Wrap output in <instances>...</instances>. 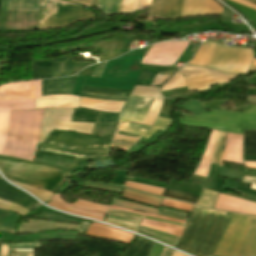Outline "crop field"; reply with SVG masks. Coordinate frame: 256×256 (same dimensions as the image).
<instances>
[{
	"label": "crop field",
	"instance_id": "8a807250",
	"mask_svg": "<svg viewBox=\"0 0 256 256\" xmlns=\"http://www.w3.org/2000/svg\"><path fill=\"white\" fill-rule=\"evenodd\" d=\"M231 215L195 206L176 248L195 256H212Z\"/></svg>",
	"mask_w": 256,
	"mask_h": 256
},
{
	"label": "crop field",
	"instance_id": "ac0d7876",
	"mask_svg": "<svg viewBox=\"0 0 256 256\" xmlns=\"http://www.w3.org/2000/svg\"><path fill=\"white\" fill-rule=\"evenodd\" d=\"M0 171L9 180L53 192L71 176L57 168L2 156Z\"/></svg>",
	"mask_w": 256,
	"mask_h": 256
},
{
	"label": "crop field",
	"instance_id": "34b2d1b8",
	"mask_svg": "<svg viewBox=\"0 0 256 256\" xmlns=\"http://www.w3.org/2000/svg\"><path fill=\"white\" fill-rule=\"evenodd\" d=\"M44 110L12 111L5 155L31 160Z\"/></svg>",
	"mask_w": 256,
	"mask_h": 256
},
{
	"label": "crop field",
	"instance_id": "412701ff",
	"mask_svg": "<svg viewBox=\"0 0 256 256\" xmlns=\"http://www.w3.org/2000/svg\"><path fill=\"white\" fill-rule=\"evenodd\" d=\"M110 141L94 139L88 136L52 131L40 149L77 156L68 172H72L86 158L105 155Z\"/></svg>",
	"mask_w": 256,
	"mask_h": 256
},
{
	"label": "crop field",
	"instance_id": "f4fd0767",
	"mask_svg": "<svg viewBox=\"0 0 256 256\" xmlns=\"http://www.w3.org/2000/svg\"><path fill=\"white\" fill-rule=\"evenodd\" d=\"M208 43H211L210 47H206ZM252 57L253 51L247 48H226L215 42H206L189 65L228 73H247Z\"/></svg>",
	"mask_w": 256,
	"mask_h": 256
},
{
	"label": "crop field",
	"instance_id": "dd49c442",
	"mask_svg": "<svg viewBox=\"0 0 256 256\" xmlns=\"http://www.w3.org/2000/svg\"><path fill=\"white\" fill-rule=\"evenodd\" d=\"M41 96V81L0 86V154L4 155L11 109H35L34 100Z\"/></svg>",
	"mask_w": 256,
	"mask_h": 256
},
{
	"label": "crop field",
	"instance_id": "e52e79f7",
	"mask_svg": "<svg viewBox=\"0 0 256 256\" xmlns=\"http://www.w3.org/2000/svg\"><path fill=\"white\" fill-rule=\"evenodd\" d=\"M184 118L185 121L179 120L180 124L215 129L234 134L242 135L241 129L229 126L256 130V106L248 105L243 113L211 110V113H204V115L196 117L184 116Z\"/></svg>",
	"mask_w": 256,
	"mask_h": 256
},
{
	"label": "crop field",
	"instance_id": "d8731c3e",
	"mask_svg": "<svg viewBox=\"0 0 256 256\" xmlns=\"http://www.w3.org/2000/svg\"><path fill=\"white\" fill-rule=\"evenodd\" d=\"M56 1H60L66 4H70L73 5L71 3H67L61 0H56ZM56 1H47V0H41L40 2V10H39V17H38V26H39V30H47L49 28H56V29H60L63 28L65 26L71 25L75 23V5L72 6V8L68 7L70 5H66L60 2H56ZM43 2H49V8H48V13L49 12H53L56 11L58 9H55L56 3H60L63 4V7H68L70 9H66L60 12H56L53 14H49L48 18H46V11H47V6H43ZM44 5H48V3H44ZM62 5L57 4L56 8L61 9ZM80 5L76 4V23L80 20H84L87 18H94L93 14L80 9Z\"/></svg>",
	"mask_w": 256,
	"mask_h": 256
},
{
	"label": "crop field",
	"instance_id": "5a996713",
	"mask_svg": "<svg viewBox=\"0 0 256 256\" xmlns=\"http://www.w3.org/2000/svg\"><path fill=\"white\" fill-rule=\"evenodd\" d=\"M79 97L66 95H48L35 100L36 109L41 108H77ZM124 102L100 101L80 97L79 106L97 111L119 113Z\"/></svg>",
	"mask_w": 256,
	"mask_h": 256
},
{
	"label": "crop field",
	"instance_id": "3316defc",
	"mask_svg": "<svg viewBox=\"0 0 256 256\" xmlns=\"http://www.w3.org/2000/svg\"><path fill=\"white\" fill-rule=\"evenodd\" d=\"M72 110H45L39 143H42L49 135L51 129L68 130L90 135L94 124L71 122Z\"/></svg>",
	"mask_w": 256,
	"mask_h": 256
},
{
	"label": "crop field",
	"instance_id": "28ad6ade",
	"mask_svg": "<svg viewBox=\"0 0 256 256\" xmlns=\"http://www.w3.org/2000/svg\"><path fill=\"white\" fill-rule=\"evenodd\" d=\"M179 73L186 76L185 81L189 91H202L210 88L209 84L229 83L238 75L223 74L210 69L185 66Z\"/></svg>",
	"mask_w": 256,
	"mask_h": 256
},
{
	"label": "crop field",
	"instance_id": "d1516ede",
	"mask_svg": "<svg viewBox=\"0 0 256 256\" xmlns=\"http://www.w3.org/2000/svg\"><path fill=\"white\" fill-rule=\"evenodd\" d=\"M250 217L233 214L213 256H236Z\"/></svg>",
	"mask_w": 256,
	"mask_h": 256
},
{
	"label": "crop field",
	"instance_id": "22f410ed",
	"mask_svg": "<svg viewBox=\"0 0 256 256\" xmlns=\"http://www.w3.org/2000/svg\"><path fill=\"white\" fill-rule=\"evenodd\" d=\"M189 42H162L153 45L141 63L168 66L174 65Z\"/></svg>",
	"mask_w": 256,
	"mask_h": 256
},
{
	"label": "crop field",
	"instance_id": "cbeb9de0",
	"mask_svg": "<svg viewBox=\"0 0 256 256\" xmlns=\"http://www.w3.org/2000/svg\"><path fill=\"white\" fill-rule=\"evenodd\" d=\"M229 13V11L213 0H185L181 18L195 15L219 14L223 20L228 21Z\"/></svg>",
	"mask_w": 256,
	"mask_h": 256
},
{
	"label": "crop field",
	"instance_id": "5142ce71",
	"mask_svg": "<svg viewBox=\"0 0 256 256\" xmlns=\"http://www.w3.org/2000/svg\"><path fill=\"white\" fill-rule=\"evenodd\" d=\"M153 99L144 98V97H136L129 96L125 106L123 107L119 121H134L138 123H142Z\"/></svg>",
	"mask_w": 256,
	"mask_h": 256
},
{
	"label": "crop field",
	"instance_id": "d9b57169",
	"mask_svg": "<svg viewBox=\"0 0 256 256\" xmlns=\"http://www.w3.org/2000/svg\"><path fill=\"white\" fill-rule=\"evenodd\" d=\"M183 0H152L149 17L180 18Z\"/></svg>",
	"mask_w": 256,
	"mask_h": 256
},
{
	"label": "crop field",
	"instance_id": "733c2abd",
	"mask_svg": "<svg viewBox=\"0 0 256 256\" xmlns=\"http://www.w3.org/2000/svg\"><path fill=\"white\" fill-rule=\"evenodd\" d=\"M131 95L154 98L150 110L143 122L144 125L151 126L159 112V108L162 103V97L159 93V88L135 86Z\"/></svg>",
	"mask_w": 256,
	"mask_h": 256
},
{
	"label": "crop field",
	"instance_id": "4a817a6b",
	"mask_svg": "<svg viewBox=\"0 0 256 256\" xmlns=\"http://www.w3.org/2000/svg\"><path fill=\"white\" fill-rule=\"evenodd\" d=\"M85 235L114 240L126 244H128L134 236L97 223H91Z\"/></svg>",
	"mask_w": 256,
	"mask_h": 256
},
{
	"label": "crop field",
	"instance_id": "bc2a9ffb",
	"mask_svg": "<svg viewBox=\"0 0 256 256\" xmlns=\"http://www.w3.org/2000/svg\"><path fill=\"white\" fill-rule=\"evenodd\" d=\"M171 123H172V120L170 119L158 117L152 128L133 124V123H120L118 126V130L147 138L153 135L158 129H162V130L167 129Z\"/></svg>",
	"mask_w": 256,
	"mask_h": 256
},
{
	"label": "crop field",
	"instance_id": "214f88e0",
	"mask_svg": "<svg viewBox=\"0 0 256 256\" xmlns=\"http://www.w3.org/2000/svg\"><path fill=\"white\" fill-rule=\"evenodd\" d=\"M77 77L42 80V96L47 94L71 95Z\"/></svg>",
	"mask_w": 256,
	"mask_h": 256
},
{
	"label": "crop field",
	"instance_id": "92a150f3",
	"mask_svg": "<svg viewBox=\"0 0 256 256\" xmlns=\"http://www.w3.org/2000/svg\"><path fill=\"white\" fill-rule=\"evenodd\" d=\"M237 256H256V217L252 216Z\"/></svg>",
	"mask_w": 256,
	"mask_h": 256
},
{
	"label": "crop field",
	"instance_id": "dafd665d",
	"mask_svg": "<svg viewBox=\"0 0 256 256\" xmlns=\"http://www.w3.org/2000/svg\"><path fill=\"white\" fill-rule=\"evenodd\" d=\"M58 193H55L52 202L60 204L62 206H66V207H70V208H74V209H78V210H82V211H86V212H90V213H94V214H98V215H102L104 216L108 206L107 205H103V204H99V203H94V202H89V201H85V200H80L77 201L73 204H66L64 201H62L59 198Z\"/></svg>",
	"mask_w": 256,
	"mask_h": 256
},
{
	"label": "crop field",
	"instance_id": "00972430",
	"mask_svg": "<svg viewBox=\"0 0 256 256\" xmlns=\"http://www.w3.org/2000/svg\"><path fill=\"white\" fill-rule=\"evenodd\" d=\"M140 220V218L111 212H109L105 218V222L115 224L134 232L136 231Z\"/></svg>",
	"mask_w": 256,
	"mask_h": 256
},
{
	"label": "crop field",
	"instance_id": "a9b5d70f",
	"mask_svg": "<svg viewBox=\"0 0 256 256\" xmlns=\"http://www.w3.org/2000/svg\"><path fill=\"white\" fill-rule=\"evenodd\" d=\"M153 242L137 237L123 256H148Z\"/></svg>",
	"mask_w": 256,
	"mask_h": 256
},
{
	"label": "crop field",
	"instance_id": "4177f3b9",
	"mask_svg": "<svg viewBox=\"0 0 256 256\" xmlns=\"http://www.w3.org/2000/svg\"><path fill=\"white\" fill-rule=\"evenodd\" d=\"M120 44L121 41H108L94 45L102 53L99 62L119 56Z\"/></svg>",
	"mask_w": 256,
	"mask_h": 256
},
{
	"label": "crop field",
	"instance_id": "730fd06b",
	"mask_svg": "<svg viewBox=\"0 0 256 256\" xmlns=\"http://www.w3.org/2000/svg\"><path fill=\"white\" fill-rule=\"evenodd\" d=\"M71 75V56L52 60V78Z\"/></svg>",
	"mask_w": 256,
	"mask_h": 256
},
{
	"label": "crop field",
	"instance_id": "eef30255",
	"mask_svg": "<svg viewBox=\"0 0 256 256\" xmlns=\"http://www.w3.org/2000/svg\"><path fill=\"white\" fill-rule=\"evenodd\" d=\"M32 79L51 78V60L34 61L31 63Z\"/></svg>",
	"mask_w": 256,
	"mask_h": 256
},
{
	"label": "crop field",
	"instance_id": "ae1a2a85",
	"mask_svg": "<svg viewBox=\"0 0 256 256\" xmlns=\"http://www.w3.org/2000/svg\"><path fill=\"white\" fill-rule=\"evenodd\" d=\"M138 233H141L143 235H146V236H149L155 240H158L164 244H167V245H170V246H173L175 247L177 241L179 238L177 237H173V236H170V235H166V234H163L159 231H155V230H151V229H147V228H144V227H139Z\"/></svg>",
	"mask_w": 256,
	"mask_h": 256
},
{
	"label": "crop field",
	"instance_id": "d3111659",
	"mask_svg": "<svg viewBox=\"0 0 256 256\" xmlns=\"http://www.w3.org/2000/svg\"><path fill=\"white\" fill-rule=\"evenodd\" d=\"M123 197L128 198V199H132V200H135V201H139V202H142V203L150 204V205H153V206H157V207H159V205L161 204V202L163 200L161 198H157V197H154V196L142 194V193L135 192V191H132V190H127V189H124Z\"/></svg>",
	"mask_w": 256,
	"mask_h": 256
},
{
	"label": "crop field",
	"instance_id": "750c4746",
	"mask_svg": "<svg viewBox=\"0 0 256 256\" xmlns=\"http://www.w3.org/2000/svg\"><path fill=\"white\" fill-rule=\"evenodd\" d=\"M20 216L7 211L0 210V230L14 233L15 224Z\"/></svg>",
	"mask_w": 256,
	"mask_h": 256
},
{
	"label": "crop field",
	"instance_id": "bd1437ed",
	"mask_svg": "<svg viewBox=\"0 0 256 256\" xmlns=\"http://www.w3.org/2000/svg\"><path fill=\"white\" fill-rule=\"evenodd\" d=\"M40 0H9L8 9L38 11Z\"/></svg>",
	"mask_w": 256,
	"mask_h": 256
},
{
	"label": "crop field",
	"instance_id": "1d83c4d3",
	"mask_svg": "<svg viewBox=\"0 0 256 256\" xmlns=\"http://www.w3.org/2000/svg\"><path fill=\"white\" fill-rule=\"evenodd\" d=\"M82 92L99 94V95L124 96V97H128L130 93V91L128 90L108 89V88H98V87H88V86H84Z\"/></svg>",
	"mask_w": 256,
	"mask_h": 256
},
{
	"label": "crop field",
	"instance_id": "120bbe31",
	"mask_svg": "<svg viewBox=\"0 0 256 256\" xmlns=\"http://www.w3.org/2000/svg\"><path fill=\"white\" fill-rule=\"evenodd\" d=\"M0 198L7 200L9 202H12V203L19 204L27 209L34 204V202H32L22 196H19L17 194H14L12 192L6 191L1 188H0Z\"/></svg>",
	"mask_w": 256,
	"mask_h": 256
},
{
	"label": "crop field",
	"instance_id": "d32e631a",
	"mask_svg": "<svg viewBox=\"0 0 256 256\" xmlns=\"http://www.w3.org/2000/svg\"><path fill=\"white\" fill-rule=\"evenodd\" d=\"M243 154H256V131L243 132Z\"/></svg>",
	"mask_w": 256,
	"mask_h": 256
},
{
	"label": "crop field",
	"instance_id": "5866460e",
	"mask_svg": "<svg viewBox=\"0 0 256 256\" xmlns=\"http://www.w3.org/2000/svg\"><path fill=\"white\" fill-rule=\"evenodd\" d=\"M116 132H115V136L114 137L124 138V139H129V140H139L140 139V138H134V137H129V136H125V135H120V134L130 135V134H127V133H124V132H119L118 131L117 133H120V134H116ZM130 136H133V135H130ZM135 137H137V136H135ZM124 139L114 138L112 140L111 145H115V146H119V147L128 149V148H130L132 145H134L137 142V141L124 140ZM115 146H113V147H115ZM126 149H124V150H126Z\"/></svg>",
	"mask_w": 256,
	"mask_h": 256
},
{
	"label": "crop field",
	"instance_id": "028f5c9d",
	"mask_svg": "<svg viewBox=\"0 0 256 256\" xmlns=\"http://www.w3.org/2000/svg\"><path fill=\"white\" fill-rule=\"evenodd\" d=\"M12 182V181H11ZM15 185L23 188L24 190L28 191L29 193H31L32 195H34L35 197H37L39 200L46 202L48 200H50V198L53 196V192H49V191H45V190H41V189H37V188H33V187H29V186H25L19 183H15L12 182Z\"/></svg>",
	"mask_w": 256,
	"mask_h": 256
},
{
	"label": "crop field",
	"instance_id": "e1f06a70",
	"mask_svg": "<svg viewBox=\"0 0 256 256\" xmlns=\"http://www.w3.org/2000/svg\"><path fill=\"white\" fill-rule=\"evenodd\" d=\"M162 196L172 198V199H176V200H180V201L193 203V204L196 203V200L198 198L196 196H192V195H188V194H184V193H179V192H175V191H171V190H167V189L164 190Z\"/></svg>",
	"mask_w": 256,
	"mask_h": 256
},
{
	"label": "crop field",
	"instance_id": "0bd39190",
	"mask_svg": "<svg viewBox=\"0 0 256 256\" xmlns=\"http://www.w3.org/2000/svg\"><path fill=\"white\" fill-rule=\"evenodd\" d=\"M225 135H226V133L218 132L211 163L219 164Z\"/></svg>",
	"mask_w": 256,
	"mask_h": 256
},
{
	"label": "crop field",
	"instance_id": "b80d0937",
	"mask_svg": "<svg viewBox=\"0 0 256 256\" xmlns=\"http://www.w3.org/2000/svg\"><path fill=\"white\" fill-rule=\"evenodd\" d=\"M139 1L140 0H119L116 13L138 10Z\"/></svg>",
	"mask_w": 256,
	"mask_h": 256
},
{
	"label": "crop field",
	"instance_id": "c035e120",
	"mask_svg": "<svg viewBox=\"0 0 256 256\" xmlns=\"http://www.w3.org/2000/svg\"><path fill=\"white\" fill-rule=\"evenodd\" d=\"M217 193L205 190L203 191L201 197L199 198L197 204L213 208V204L217 198Z\"/></svg>",
	"mask_w": 256,
	"mask_h": 256
},
{
	"label": "crop field",
	"instance_id": "c21b1889",
	"mask_svg": "<svg viewBox=\"0 0 256 256\" xmlns=\"http://www.w3.org/2000/svg\"><path fill=\"white\" fill-rule=\"evenodd\" d=\"M243 174H244V172H241V171H236V170L220 167L217 176L241 181Z\"/></svg>",
	"mask_w": 256,
	"mask_h": 256
},
{
	"label": "crop field",
	"instance_id": "03da06ac",
	"mask_svg": "<svg viewBox=\"0 0 256 256\" xmlns=\"http://www.w3.org/2000/svg\"><path fill=\"white\" fill-rule=\"evenodd\" d=\"M118 0H99L98 8L102 9L105 14H113L116 11Z\"/></svg>",
	"mask_w": 256,
	"mask_h": 256
},
{
	"label": "crop field",
	"instance_id": "b54c1fbb",
	"mask_svg": "<svg viewBox=\"0 0 256 256\" xmlns=\"http://www.w3.org/2000/svg\"><path fill=\"white\" fill-rule=\"evenodd\" d=\"M184 86L186 85L183 81V76L176 73L175 76L166 83V85L161 89V91L184 87Z\"/></svg>",
	"mask_w": 256,
	"mask_h": 256
},
{
	"label": "crop field",
	"instance_id": "5d738f31",
	"mask_svg": "<svg viewBox=\"0 0 256 256\" xmlns=\"http://www.w3.org/2000/svg\"><path fill=\"white\" fill-rule=\"evenodd\" d=\"M0 208L2 209H7V210H14L15 212L19 213L20 215L24 216L26 213H28L29 211L16 205V204H12L9 202H6L4 200L0 199Z\"/></svg>",
	"mask_w": 256,
	"mask_h": 256
},
{
	"label": "crop field",
	"instance_id": "d23c7cc5",
	"mask_svg": "<svg viewBox=\"0 0 256 256\" xmlns=\"http://www.w3.org/2000/svg\"><path fill=\"white\" fill-rule=\"evenodd\" d=\"M176 70H170L162 73H158L166 78H168L173 72ZM156 74L155 78L153 79L152 83L150 86H161V84L166 80V78Z\"/></svg>",
	"mask_w": 256,
	"mask_h": 256
},
{
	"label": "crop field",
	"instance_id": "425ffa30",
	"mask_svg": "<svg viewBox=\"0 0 256 256\" xmlns=\"http://www.w3.org/2000/svg\"><path fill=\"white\" fill-rule=\"evenodd\" d=\"M240 213L256 215V203L245 200Z\"/></svg>",
	"mask_w": 256,
	"mask_h": 256
},
{
	"label": "crop field",
	"instance_id": "25e5ab78",
	"mask_svg": "<svg viewBox=\"0 0 256 256\" xmlns=\"http://www.w3.org/2000/svg\"><path fill=\"white\" fill-rule=\"evenodd\" d=\"M108 210H110V211H115V212H119V213H124V214H128V215H132V216H136V217H140V218H144V219H150V220H156V221L167 222V223H171V224H175V225H179V226H183V227L185 226V225H183V224H178V223L168 222V221H164V220L149 218V217H145V216H141V215H137V214H133V213H129V212H124V211H120V210H115V209H111V208H109Z\"/></svg>",
	"mask_w": 256,
	"mask_h": 256
},
{
	"label": "crop field",
	"instance_id": "73cf0c24",
	"mask_svg": "<svg viewBox=\"0 0 256 256\" xmlns=\"http://www.w3.org/2000/svg\"><path fill=\"white\" fill-rule=\"evenodd\" d=\"M106 62L97 64L92 76L100 77Z\"/></svg>",
	"mask_w": 256,
	"mask_h": 256
},
{
	"label": "crop field",
	"instance_id": "89e229c0",
	"mask_svg": "<svg viewBox=\"0 0 256 256\" xmlns=\"http://www.w3.org/2000/svg\"><path fill=\"white\" fill-rule=\"evenodd\" d=\"M232 1L237 2V3H240V4H242V5H245V6H247V7H250V8H252V9H255V10H256V6L253 5V4L247 3V2L242 1V0H232Z\"/></svg>",
	"mask_w": 256,
	"mask_h": 256
},
{
	"label": "crop field",
	"instance_id": "1f2cbd36",
	"mask_svg": "<svg viewBox=\"0 0 256 256\" xmlns=\"http://www.w3.org/2000/svg\"><path fill=\"white\" fill-rule=\"evenodd\" d=\"M159 216H164V217H169V218H174V219H179V220H184L186 221L187 219L185 218H181V217H177V216H173V215H169V214H165V213H158Z\"/></svg>",
	"mask_w": 256,
	"mask_h": 256
},
{
	"label": "crop field",
	"instance_id": "dbb93151",
	"mask_svg": "<svg viewBox=\"0 0 256 256\" xmlns=\"http://www.w3.org/2000/svg\"><path fill=\"white\" fill-rule=\"evenodd\" d=\"M9 256H34V253H15V252H10Z\"/></svg>",
	"mask_w": 256,
	"mask_h": 256
},
{
	"label": "crop field",
	"instance_id": "0fb4a251",
	"mask_svg": "<svg viewBox=\"0 0 256 256\" xmlns=\"http://www.w3.org/2000/svg\"><path fill=\"white\" fill-rule=\"evenodd\" d=\"M172 253H173L172 250H169V249H167V248H163L162 253H161V256H171Z\"/></svg>",
	"mask_w": 256,
	"mask_h": 256
},
{
	"label": "crop field",
	"instance_id": "1d79db26",
	"mask_svg": "<svg viewBox=\"0 0 256 256\" xmlns=\"http://www.w3.org/2000/svg\"><path fill=\"white\" fill-rule=\"evenodd\" d=\"M246 167L256 169L255 162H245Z\"/></svg>",
	"mask_w": 256,
	"mask_h": 256
},
{
	"label": "crop field",
	"instance_id": "9d1cf04e",
	"mask_svg": "<svg viewBox=\"0 0 256 256\" xmlns=\"http://www.w3.org/2000/svg\"><path fill=\"white\" fill-rule=\"evenodd\" d=\"M72 1L84 4L86 6H89V4H90V0H72Z\"/></svg>",
	"mask_w": 256,
	"mask_h": 256
},
{
	"label": "crop field",
	"instance_id": "447ae74e",
	"mask_svg": "<svg viewBox=\"0 0 256 256\" xmlns=\"http://www.w3.org/2000/svg\"><path fill=\"white\" fill-rule=\"evenodd\" d=\"M151 0H141L140 6L150 5Z\"/></svg>",
	"mask_w": 256,
	"mask_h": 256
},
{
	"label": "crop field",
	"instance_id": "0765c3eb",
	"mask_svg": "<svg viewBox=\"0 0 256 256\" xmlns=\"http://www.w3.org/2000/svg\"><path fill=\"white\" fill-rule=\"evenodd\" d=\"M245 175L256 176V171L255 172L247 171Z\"/></svg>",
	"mask_w": 256,
	"mask_h": 256
},
{
	"label": "crop field",
	"instance_id": "db79e9e6",
	"mask_svg": "<svg viewBox=\"0 0 256 256\" xmlns=\"http://www.w3.org/2000/svg\"><path fill=\"white\" fill-rule=\"evenodd\" d=\"M243 179L251 180V181H256V178H253V177H244Z\"/></svg>",
	"mask_w": 256,
	"mask_h": 256
},
{
	"label": "crop field",
	"instance_id": "7b73153f",
	"mask_svg": "<svg viewBox=\"0 0 256 256\" xmlns=\"http://www.w3.org/2000/svg\"><path fill=\"white\" fill-rule=\"evenodd\" d=\"M173 256H185V255H183V254H181V253H178V252H174V254H173Z\"/></svg>",
	"mask_w": 256,
	"mask_h": 256
},
{
	"label": "crop field",
	"instance_id": "78b8030e",
	"mask_svg": "<svg viewBox=\"0 0 256 256\" xmlns=\"http://www.w3.org/2000/svg\"><path fill=\"white\" fill-rule=\"evenodd\" d=\"M249 71H256V64L252 65Z\"/></svg>",
	"mask_w": 256,
	"mask_h": 256
},
{
	"label": "crop field",
	"instance_id": "0f1d7ab4",
	"mask_svg": "<svg viewBox=\"0 0 256 256\" xmlns=\"http://www.w3.org/2000/svg\"><path fill=\"white\" fill-rule=\"evenodd\" d=\"M243 182H246V181H243ZM248 183H253L251 188L256 189V183H254V182H248Z\"/></svg>",
	"mask_w": 256,
	"mask_h": 256
},
{
	"label": "crop field",
	"instance_id": "e1d0b9f6",
	"mask_svg": "<svg viewBox=\"0 0 256 256\" xmlns=\"http://www.w3.org/2000/svg\"><path fill=\"white\" fill-rule=\"evenodd\" d=\"M245 1L250 2V3H253V4L256 5V0H245Z\"/></svg>",
	"mask_w": 256,
	"mask_h": 256
},
{
	"label": "crop field",
	"instance_id": "ae633e8c",
	"mask_svg": "<svg viewBox=\"0 0 256 256\" xmlns=\"http://www.w3.org/2000/svg\"><path fill=\"white\" fill-rule=\"evenodd\" d=\"M1 177V176H0ZM2 178V177H1Z\"/></svg>",
	"mask_w": 256,
	"mask_h": 256
}]
</instances>
